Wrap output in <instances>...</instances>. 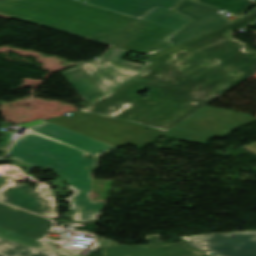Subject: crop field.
<instances>
[{
  "instance_id": "obj_8",
  "label": "crop field",
  "mask_w": 256,
  "mask_h": 256,
  "mask_svg": "<svg viewBox=\"0 0 256 256\" xmlns=\"http://www.w3.org/2000/svg\"><path fill=\"white\" fill-rule=\"evenodd\" d=\"M181 238L207 256H256V232Z\"/></svg>"
},
{
  "instance_id": "obj_11",
  "label": "crop field",
  "mask_w": 256,
  "mask_h": 256,
  "mask_svg": "<svg viewBox=\"0 0 256 256\" xmlns=\"http://www.w3.org/2000/svg\"><path fill=\"white\" fill-rule=\"evenodd\" d=\"M152 246H126L112 245L106 248L103 253L105 256H201L199 252L189 248L186 244L178 243L161 246L157 240L158 234L146 237Z\"/></svg>"
},
{
  "instance_id": "obj_16",
  "label": "crop field",
  "mask_w": 256,
  "mask_h": 256,
  "mask_svg": "<svg viewBox=\"0 0 256 256\" xmlns=\"http://www.w3.org/2000/svg\"><path fill=\"white\" fill-rule=\"evenodd\" d=\"M128 54H129V52H127L125 50L113 47L103 59H107V60H110V61H114V62H117V63H121V64H124V65H128V66L135 67V68L143 70V68H144L143 65H139V64H135V63H132V62L122 60Z\"/></svg>"
},
{
  "instance_id": "obj_19",
  "label": "crop field",
  "mask_w": 256,
  "mask_h": 256,
  "mask_svg": "<svg viewBox=\"0 0 256 256\" xmlns=\"http://www.w3.org/2000/svg\"><path fill=\"white\" fill-rule=\"evenodd\" d=\"M98 244H99V248H105V247H108L112 244H116L112 241H109L107 239H104V238H100V240L98 241Z\"/></svg>"
},
{
  "instance_id": "obj_20",
  "label": "crop field",
  "mask_w": 256,
  "mask_h": 256,
  "mask_svg": "<svg viewBox=\"0 0 256 256\" xmlns=\"http://www.w3.org/2000/svg\"><path fill=\"white\" fill-rule=\"evenodd\" d=\"M243 149L251 152L252 154L256 155V143L244 146Z\"/></svg>"
},
{
  "instance_id": "obj_13",
  "label": "crop field",
  "mask_w": 256,
  "mask_h": 256,
  "mask_svg": "<svg viewBox=\"0 0 256 256\" xmlns=\"http://www.w3.org/2000/svg\"><path fill=\"white\" fill-rule=\"evenodd\" d=\"M0 256H52L49 251L0 238Z\"/></svg>"
},
{
  "instance_id": "obj_2",
  "label": "crop field",
  "mask_w": 256,
  "mask_h": 256,
  "mask_svg": "<svg viewBox=\"0 0 256 256\" xmlns=\"http://www.w3.org/2000/svg\"><path fill=\"white\" fill-rule=\"evenodd\" d=\"M180 1L0 0V13L150 55L191 21L171 11Z\"/></svg>"
},
{
  "instance_id": "obj_3",
  "label": "crop field",
  "mask_w": 256,
  "mask_h": 256,
  "mask_svg": "<svg viewBox=\"0 0 256 256\" xmlns=\"http://www.w3.org/2000/svg\"><path fill=\"white\" fill-rule=\"evenodd\" d=\"M114 149L52 123L29 128L10 150L11 158L37 167H49L66 178L75 194L71 218L80 222L97 220L105 202H92L88 193L92 180L90 173L97 166L100 154ZM88 154L93 159L83 158ZM85 156V155H84ZM89 166L91 170H85Z\"/></svg>"
},
{
  "instance_id": "obj_15",
  "label": "crop field",
  "mask_w": 256,
  "mask_h": 256,
  "mask_svg": "<svg viewBox=\"0 0 256 256\" xmlns=\"http://www.w3.org/2000/svg\"><path fill=\"white\" fill-rule=\"evenodd\" d=\"M164 136L181 139V140H185V141H190V142H195V143H199V144H204V145H207L210 142V140L212 139L211 137L200 136V135L179 132V131H174V130H171Z\"/></svg>"
},
{
  "instance_id": "obj_6",
  "label": "crop field",
  "mask_w": 256,
  "mask_h": 256,
  "mask_svg": "<svg viewBox=\"0 0 256 256\" xmlns=\"http://www.w3.org/2000/svg\"><path fill=\"white\" fill-rule=\"evenodd\" d=\"M253 121L256 119L247 114L205 106L174 130L225 138L233 129Z\"/></svg>"
},
{
  "instance_id": "obj_18",
  "label": "crop field",
  "mask_w": 256,
  "mask_h": 256,
  "mask_svg": "<svg viewBox=\"0 0 256 256\" xmlns=\"http://www.w3.org/2000/svg\"><path fill=\"white\" fill-rule=\"evenodd\" d=\"M22 172H23L22 169H19L12 165L0 166V174L5 176L17 178L22 174Z\"/></svg>"
},
{
  "instance_id": "obj_7",
  "label": "crop field",
  "mask_w": 256,
  "mask_h": 256,
  "mask_svg": "<svg viewBox=\"0 0 256 256\" xmlns=\"http://www.w3.org/2000/svg\"><path fill=\"white\" fill-rule=\"evenodd\" d=\"M0 201L19 206L39 214L57 218L58 211L49 185H40L36 190L13 182L12 179H0Z\"/></svg>"
},
{
  "instance_id": "obj_10",
  "label": "crop field",
  "mask_w": 256,
  "mask_h": 256,
  "mask_svg": "<svg viewBox=\"0 0 256 256\" xmlns=\"http://www.w3.org/2000/svg\"><path fill=\"white\" fill-rule=\"evenodd\" d=\"M81 65L106 94L143 73L142 70L103 59Z\"/></svg>"
},
{
  "instance_id": "obj_5",
  "label": "crop field",
  "mask_w": 256,
  "mask_h": 256,
  "mask_svg": "<svg viewBox=\"0 0 256 256\" xmlns=\"http://www.w3.org/2000/svg\"><path fill=\"white\" fill-rule=\"evenodd\" d=\"M51 227L52 222L48 219L23 211H12L9 206L0 204L1 238L48 250L41 245V239Z\"/></svg>"
},
{
  "instance_id": "obj_22",
  "label": "crop field",
  "mask_w": 256,
  "mask_h": 256,
  "mask_svg": "<svg viewBox=\"0 0 256 256\" xmlns=\"http://www.w3.org/2000/svg\"><path fill=\"white\" fill-rule=\"evenodd\" d=\"M11 209H12V210H16V211H19V210L15 209V208H12V207H11Z\"/></svg>"
},
{
  "instance_id": "obj_9",
  "label": "crop field",
  "mask_w": 256,
  "mask_h": 256,
  "mask_svg": "<svg viewBox=\"0 0 256 256\" xmlns=\"http://www.w3.org/2000/svg\"><path fill=\"white\" fill-rule=\"evenodd\" d=\"M219 9L194 0H182L173 10L193 21L166 38L165 41L174 45L222 25L232 23L217 12Z\"/></svg>"
},
{
  "instance_id": "obj_12",
  "label": "crop field",
  "mask_w": 256,
  "mask_h": 256,
  "mask_svg": "<svg viewBox=\"0 0 256 256\" xmlns=\"http://www.w3.org/2000/svg\"><path fill=\"white\" fill-rule=\"evenodd\" d=\"M63 74L86 104L103 95L80 66L63 72Z\"/></svg>"
},
{
  "instance_id": "obj_14",
  "label": "crop field",
  "mask_w": 256,
  "mask_h": 256,
  "mask_svg": "<svg viewBox=\"0 0 256 256\" xmlns=\"http://www.w3.org/2000/svg\"><path fill=\"white\" fill-rule=\"evenodd\" d=\"M243 15L254 2L250 0H197Z\"/></svg>"
},
{
  "instance_id": "obj_1",
  "label": "crop field",
  "mask_w": 256,
  "mask_h": 256,
  "mask_svg": "<svg viewBox=\"0 0 256 256\" xmlns=\"http://www.w3.org/2000/svg\"><path fill=\"white\" fill-rule=\"evenodd\" d=\"M255 20L256 10L239 22L147 56L143 74L80 111L168 132L211 102L213 96L223 95L256 73V53L244 51L245 45L234 39L190 54L183 61L176 60L175 54L229 38L232 30ZM203 60L209 63L207 67L198 65ZM214 60L219 63L214 64ZM182 62L187 65L180 67ZM230 70L240 74L227 73ZM145 88L150 91L142 99L136 94Z\"/></svg>"
},
{
  "instance_id": "obj_4",
  "label": "crop field",
  "mask_w": 256,
  "mask_h": 256,
  "mask_svg": "<svg viewBox=\"0 0 256 256\" xmlns=\"http://www.w3.org/2000/svg\"><path fill=\"white\" fill-rule=\"evenodd\" d=\"M86 114L76 112L69 117L60 116L47 121L115 147L131 144L142 149L156 138L166 134V132L154 130L126 120L104 118L95 114H88L85 117ZM145 129H148V131ZM142 139L145 141H142Z\"/></svg>"
},
{
  "instance_id": "obj_17",
  "label": "crop field",
  "mask_w": 256,
  "mask_h": 256,
  "mask_svg": "<svg viewBox=\"0 0 256 256\" xmlns=\"http://www.w3.org/2000/svg\"><path fill=\"white\" fill-rule=\"evenodd\" d=\"M46 245L50 247L54 253L64 255V256H79V249H72V248H64L60 246L58 243L51 242L49 240L45 241Z\"/></svg>"
},
{
  "instance_id": "obj_21",
  "label": "crop field",
  "mask_w": 256,
  "mask_h": 256,
  "mask_svg": "<svg viewBox=\"0 0 256 256\" xmlns=\"http://www.w3.org/2000/svg\"><path fill=\"white\" fill-rule=\"evenodd\" d=\"M251 26H254V27H256V23L252 24Z\"/></svg>"
}]
</instances>
